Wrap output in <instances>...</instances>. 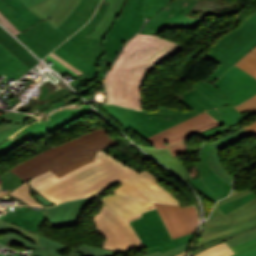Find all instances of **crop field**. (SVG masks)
Wrapping results in <instances>:
<instances>
[{"instance_id": "obj_1", "label": "crop field", "mask_w": 256, "mask_h": 256, "mask_svg": "<svg viewBox=\"0 0 256 256\" xmlns=\"http://www.w3.org/2000/svg\"><path fill=\"white\" fill-rule=\"evenodd\" d=\"M192 88L178 98V103L192 109L186 112L162 106H159V110L153 113L135 111L115 105H100V107L126 130L132 128L143 139L204 111L214 117L223 125L220 126L222 129L216 127L200 133V135L206 138L200 150V163L197 164L200 177L188 182L208 199L217 202L219 199L228 196L232 187L211 171L209 155L214 146L207 142V138L234 126L254 114V112L249 110L241 114L232 108L231 106L234 104L210 82L196 81ZM149 117L151 118L148 119Z\"/></svg>"}, {"instance_id": "obj_2", "label": "crop field", "mask_w": 256, "mask_h": 256, "mask_svg": "<svg viewBox=\"0 0 256 256\" xmlns=\"http://www.w3.org/2000/svg\"><path fill=\"white\" fill-rule=\"evenodd\" d=\"M181 48L156 35L137 34L126 43L102 82L107 103L143 110L141 87L147 73L154 64L174 57Z\"/></svg>"}, {"instance_id": "obj_3", "label": "crop field", "mask_w": 256, "mask_h": 256, "mask_svg": "<svg viewBox=\"0 0 256 256\" xmlns=\"http://www.w3.org/2000/svg\"><path fill=\"white\" fill-rule=\"evenodd\" d=\"M96 162H89L60 178L50 170L31 179L29 186L43 197L58 203L99 195L118 182L122 186L112 192L150 201L127 180L137 174V171L102 151L98 153Z\"/></svg>"}, {"instance_id": "obj_4", "label": "crop field", "mask_w": 256, "mask_h": 256, "mask_svg": "<svg viewBox=\"0 0 256 256\" xmlns=\"http://www.w3.org/2000/svg\"><path fill=\"white\" fill-rule=\"evenodd\" d=\"M5 211L7 214L0 216V232H5L9 229L15 232L0 237V239L24 247L35 248V251L29 253L32 256L116 255V251H110L88 244L77 245L79 249H75L40 236L38 228L47 221L42 212V208L8 206ZM40 245H43V250Z\"/></svg>"}, {"instance_id": "obj_5", "label": "crop field", "mask_w": 256, "mask_h": 256, "mask_svg": "<svg viewBox=\"0 0 256 256\" xmlns=\"http://www.w3.org/2000/svg\"><path fill=\"white\" fill-rule=\"evenodd\" d=\"M115 144L117 143L107 135L105 129L98 130L52 148L11 171L25 181L49 169L59 177L93 161L97 151Z\"/></svg>"}, {"instance_id": "obj_6", "label": "crop field", "mask_w": 256, "mask_h": 256, "mask_svg": "<svg viewBox=\"0 0 256 256\" xmlns=\"http://www.w3.org/2000/svg\"><path fill=\"white\" fill-rule=\"evenodd\" d=\"M100 0H81L72 15L56 30L41 21L17 37L41 59L85 24Z\"/></svg>"}, {"instance_id": "obj_7", "label": "crop field", "mask_w": 256, "mask_h": 256, "mask_svg": "<svg viewBox=\"0 0 256 256\" xmlns=\"http://www.w3.org/2000/svg\"><path fill=\"white\" fill-rule=\"evenodd\" d=\"M255 46L256 13L231 33L223 36L211 47L212 50L204 56L206 59L221 64L208 80L221 76Z\"/></svg>"}, {"instance_id": "obj_8", "label": "crop field", "mask_w": 256, "mask_h": 256, "mask_svg": "<svg viewBox=\"0 0 256 256\" xmlns=\"http://www.w3.org/2000/svg\"><path fill=\"white\" fill-rule=\"evenodd\" d=\"M140 215L125 220L103 205L101 212L94 218L97 233L105 239L103 248L130 250L144 247L128 223Z\"/></svg>"}, {"instance_id": "obj_9", "label": "crop field", "mask_w": 256, "mask_h": 256, "mask_svg": "<svg viewBox=\"0 0 256 256\" xmlns=\"http://www.w3.org/2000/svg\"><path fill=\"white\" fill-rule=\"evenodd\" d=\"M143 242L147 254L157 250L161 253L190 242L194 233L172 240L157 210L143 213L142 217L130 222Z\"/></svg>"}, {"instance_id": "obj_10", "label": "crop field", "mask_w": 256, "mask_h": 256, "mask_svg": "<svg viewBox=\"0 0 256 256\" xmlns=\"http://www.w3.org/2000/svg\"><path fill=\"white\" fill-rule=\"evenodd\" d=\"M145 0H127L120 18L110 30L104 42L107 57L115 58L122 44L143 26Z\"/></svg>"}, {"instance_id": "obj_11", "label": "crop field", "mask_w": 256, "mask_h": 256, "mask_svg": "<svg viewBox=\"0 0 256 256\" xmlns=\"http://www.w3.org/2000/svg\"><path fill=\"white\" fill-rule=\"evenodd\" d=\"M253 227H256V206L236 219L205 222L193 255Z\"/></svg>"}, {"instance_id": "obj_12", "label": "crop field", "mask_w": 256, "mask_h": 256, "mask_svg": "<svg viewBox=\"0 0 256 256\" xmlns=\"http://www.w3.org/2000/svg\"><path fill=\"white\" fill-rule=\"evenodd\" d=\"M198 0H174L150 21L146 22L139 33L158 34L166 27L186 28L195 30L204 18L191 19L186 14L192 9ZM173 14V15H172Z\"/></svg>"}, {"instance_id": "obj_13", "label": "crop field", "mask_w": 256, "mask_h": 256, "mask_svg": "<svg viewBox=\"0 0 256 256\" xmlns=\"http://www.w3.org/2000/svg\"><path fill=\"white\" fill-rule=\"evenodd\" d=\"M107 4V2L103 1L92 19L70 39L60 45L95 68H97V60L104 55L102 50V41L92 39L87 36L103 17Z\"/></svg>"}, {"instance_id": "obj_14", "label": "crop field", "mask_w": 256, "mask_h": 256, "mask_svg": "<svg viewBox=\"0 0 256 256\" xmlns=\"http://www.w3.org/2000/svg\"><path fill=\"white\" fill-rule=\"evenodd\" d=\"M218 125H220V123L205 112L145 140L154 147L166 148L198 132Z\"/></svg>"}, {"instance_id": "obj_15", "label": "crop field", "mask_w": 256, "mask_h": 256, "mask_svg": "<svg viewBox=\"0 0 256 256\" xmlns=\"http://www.w3.org/2000/svg\"><path fill=\"white\" fill-rule=\"evenodd\" d=\"M172 238L196 231L198 216L194 206L181 207L154 203Z\"/></svg>"}, {"instance_id": "obj_16", "label": "crop field", "mask_w": 256, "mask_h": 256, "mask_svg": "<svg viewBox=\"0 0 256 256\" xmlns=\"http://www.w3.org/2000/svg\"><path fill=\"white\" fill-rule=\"evenodd\" d=\"M219 79L214 85L236 105L256 95V79L235 66Z\"/></svg>"}, {"instance_id": "obj_17", "label": "crop field", "mask_w": 256, "mask_h": 256, "mask_svg": "<svg viewBox=\"0 0 256 256\" xmlns=\"http://www.w3.org/2000/svg\"><path fill=\"white\" fill-rule=\"evenodd\" d=\"M77 107L78 108L76 109L68 107L61 110H55L54 112L46 116V120H40L38 122H35L34 124L24 128L19 132L32 140L44 133L57 130L58 128L66 125L67 123L94 111L86 105Z\"/></svg>"}, {"instance_id": "obj_18", "label": "crop field", "mask_w": 256, "mask_h": 256, "mask_svg": "<svg viewBox=\"0 0 256 256\" xmlns=\"http://www.w3.org/2000/svg\"><path fill=\"white\" fill-rule=\"evenodd\" d=\"M96 197L69 201L50 208H44L43 212L52 228L74 226L78 223V217L84 208Z\"/></svg>"}, {"instance_id": "obj_19", "label": "crop field", "mask_w": 256, "mask_h": 256, "mask_svg": "<svg viewBox=\"0 0 256 256\" xmlns=\"http://www.w3.org/2000/svg\"><path fill=\"white\" fill-rule=\"evenodd\" d=\"M80 0H46L29 8L55 29L70 16Z\"/></svg>"}, {"instance_id": "obj_20", "label": "crop field", "mask_w": 256, "mask_h": 256, "mask_svg": "<svg viewBox=\"0 0 256 256\" xmlns=\"http://www.w3.org/2000/svg\"><path fill=\"white\" fill-rule=\"evenodd\" d=\"M129 181L134 184L151 201L169 204H179L171 193L147 170L135 175Z\"/></svg>"}, {"instance_id": "obj_21", "label": "crop field", "mask_w": 256, "mask_h": 256, "mask_svg": "<svg viewBox=\"0 0 256 256\" xmlns=\"http://www.w3.org/2000/svg\"><path fill=\"white\" fill-rule=\"evenodd\" d=\"M101 203L125 219L145 210L154 208L153 204L150 202L136 200L121 195L106 196Z\"/></svg>"}, {"instance_id": "obj_22", "label": "crop field", "mask_w": 256, "mask_h": 256, "mask_svg": "<svg viewBox=\"0 0 256 256\" xmlns=\"http://www.w3.org/2000/svg\"><path fill=\"white\" fill-rule=\"evenodd\" d=\"M249 135H252L245 131L244 129L226 136L222 139H219L211 144H213L215 147L211 152L210 156V164L212 167V170L215 174H217L221 179H223L226 183L232 186V176L228 173V171L224 168L221 159H220V152L219 150L236 143Z\"/></svg>"}, {"instance_id": "obj_23", "label": "crop field", "mask_w": 256, "mask_h": 256, "mask_svg": "<svg viewBox=\"0 0 256 256\" xmlns=\"http://www.w3.org/2000/svg\"><path fill=\"white\" fill-rule=\"evenodd\" d=\"M109 2L107 11L102 18V20L99 22V24L96 26V28L92 31V33L89 35V37H93L96 39L103 40L107 32L112 27L115 20L118 18L123 4L125 0H104Z\"/></svg>"}, {"instance_id": "obj_24", "label": "crop field", "mask_w": 256, "mask_h": 256, "mask_svg": "<svg viewBox=\"0 0 256 256\" xmlns=\"http://www.w3.org/2000/svg\"><path fill=\"white\" fill-rule=\"evenodd\" d=\"M249 73L251 76L256 78V58L253 56L246 54L237 64H235ZM240 112H245L249 109L256 112V96L250 98L249 100L245 101L244 103L240 104L239 106L235 107ZM244 114V113H243ZM247 131L251 132L252 134L256 135V122L243 127Z\"/></svg>"}, {"instance_id": "obj_25", "label": "crop field", "mask_w": 256, "mask_h": 256, "mask_svg": "<svg viewBox=\"0 0 256 256\" xmlns=\"http://www.w3.org/2000/svg\"><path fill=\"white\" fill-rule=\"evenodd\" d=\"M142 149L146 151L149 155H151L153 158L161 161L163 164H165L167 167L172 169L174 172H176L185 180L193 179L190 173L182 164L179 157L173 158L169 149H162V150H155V149H149V148H142Z\"/></svg>"}, {"instance_id": "obj_26", "label": "crop field", "mask_w": 256, "mask_h": 256, "mask_svg": "<svg viewBox=\"0 0 256 256\" xmlns=\"http://www.w3.org/2000/svg\"><path fill=\"white\" fill-rule=\"evenodd\" d=\"M0 43L31 69L37 65L38 61L1 27Z\"/></svg>"}, {"instance_id": "obj_27", "label": "crop field", "mask_w": 256, "mask_h": 256, "mask_svg": "<svg viewBox=\"0 0 256 256\" xmlns=\"http://www.w3.org/2000/svg\"><path fill=\"white\" fill-rule=\"evenodd\" d=\"M250 192L251 191H249L247 189V190H245V191H243V192H241V193H239L237 195H233L231 197H228V198H225L223 200H220L218 202V204L216 205V207H215V209H214V211H213V213H212V215H211V217H210V219L208 221H210V220H217V219L226 218V217H229L230 219H232V218H235V217L245 213L246 211H248L249 209L254 207L256 205V198L248 201L247 203L243 204L242 206L236 208L235 210L231 211L230 213H228L226 215L218 207L219 205H221V204H223V203H225V202H227L229 200L235 199L237 197H240L242 195L248 194Z\"/></svg>"}, {"instance_id": "obj_28", "label": "crop field", "mask_w": 256, "mask_h": 256, "mask_svg": "<svg viewBox=\"0 0 256 256\" xmlns=\"http://www.w3.org/2000/svg\"><path fill=\"white\" fill-rule=\"evenodd\" d=\"M52 53H54L55 55H57L58 57H60L64 60H66L67 62H69L70 64L75 66L77 69H79L84 74L96 79L97 69L91 67L92 65L90 66L85 61L78 58L77 56H75V55L71 54L70 52L64 50L60 46L55 51H53Z\"/></svg>"}, {"instance_id": "obj_29", "label": "crop field", "mask_w": 256, "mask_h": 256, "mask_svg": "<svg viewBox=\"0 0 256 256\" xmlns=\"http://www.w3.org/2000/svg\"><path fill=\"white\" fill-rule=\"evenodd\" d=\"M22 182L24 180L12 172H7L4 176L0 177V198L13 191Z\"/></svg>"}, {"instance_id": "obj_30", "label": "crop field", "mask_w": 256, "mask_h": 256, "mask_svg": "<svg viewBox=\"0 0 256 256\" xmlns=\"http://www.w3.org/2000/svg\"><path fill=\"white\" fill-rule=\"evenodd\" d=\"M6 1L11 8L29 25H33L36 22L40 21L36 15L29 11L20 0H4Z\"/></svg>"}, {"instance_id": "obj_31", "label": "crop field", "mask_w": 256, "mask_h": 256, "mask_svg": "<svg viewBox=\"0 0 256 256\" xmlns=\"http://www.w3.org/2000/svg\"><path fill=\"white\" fill-rule=\"evenodd\" d=\"M0 12L11 21L20 32L29 27L3 0H0Z\"/></svg>"}, {"instance_id": "obj_32", "label": "crop field", "mask_w": 256, "mask_h": 256, "mask_svg": "<svg viewBox=\"0 0 256 256\" xmlns=\"http://www.w3.org/2000/svg\"><path fill=\"white\" fill-rule=\"evenodd\" d=\"M40 88H42V90H41V93H40V96H39L38 101H39V100H43L45 96L47 97V99H45V101H46V100H49V99H51V101L45 102V104H42L41 106H39V104L32 105L33 107H32V109H31V111L20 110V108L18 109L19 111H24V112L33 113V112H34V109H36V108H42V107H44V106H46V105H48V104L54 102L55 100H57V99H59V98H61V97H63V96H66V95L72 93L68 88H66V89H64V90H61V91H59V92H56V93H54V94L48 93V91H47L48 89L45 88L43 85L40 86ZM21 107H22V106H21Z\"/></svg>"}, {"instance_id": "obj_33", "label": "crop field", "mask_w": 256, "mask_h": 256, "mask_svg": "<svg viewBox=\"0 0 256 256\" xmlns=\"http://www.w3.org/2000/svg\"><path fill=\"white\" fill-rule=\"evenodd\" d=\"M30 69L24 65L19 59L8 65L0 71V75H6V79L10 76L18 80L22 75H24Z\"/></svg>"}, {"instance_id": "obj_34", "label": "crop field", "mask_w": 256, "mask_h": 256, "mask_svg": "<svg viewBox=\"0 0 256 256\" xmlns=\"http://www.w3.org/2000/svg\"><path fill=\"white\" fill-rule=\"evenodd\" d=\"M29 181L21 184L17 189H15L10 194L21 198L22 200H24L26 203H28L30 205L43 206L40 202H38L34 197L31 196V194L28 190Z\"/></svg>"}, {"instance_id": "obj_35", "label": "crop field", "mask_w": 256, "mask_h": 256, "mask_svg": "<svg viewBox=\"0 0 256 256\" xmlns=\"http://www.w3.org/2000/svg\"><path fill=\"white\" fill-rule=\"evenodd\" d=\"M230 255H233L232 250L227 246L225 242H223L203 252H200L194 256H230Z\"/></svg>"}, {"instance_id": "obj_36", "label": "crop field", "mask_w": 256, "mask_h": 256, "mask_svg": "<svg viewBox=\"0 0 256 256\" xmlns=\"http://www.w3.org/2000/svg\"><path fill=\"white\" fill-rule=\"evenodd\" d=\"M171 0H146L144 17L153 18L161 8L168 5Z\"/></svg>"}, {"instance_id": "obj_37", "label": "crop field", "mask_w": 256, "mask_h": 256, "mask_svg": "<svg viewBox=\"0 0 256 256\" xmlns=\"http://www.w3.org/2000/svg\"><path fill=\"white\" fill-rule=\"evenodd\" d=\"M254 197H256V195L254 193H250L235 200L229 201L219 207L226 214Z\"/></svg>"}, {"instance_id": "obj_38", "label": "crop field", "mask_w": 256, "mask_h": 256, "mask_svg": "<svg viewBox=\"0 0 256 256\" xmlns=\"http://www.w3.org/2000/svg\"><path fill=\"white\" fill-rule=\"evenodd\" d=\"M27 139L21 133H18L11 137L10 139L6 140L0 145V154H3L22 143L23 140Z\"/></svg>"}, {"instance_id": "obj_39", "label": "crop field", "mask_w": 256, "mask_h": 256, "mask_svg": "<svg viewBox=\"0 0 256 256\" xmlns=\"http://www.w3.org/2000/svg\"><path fill=\"white\" fill-rule=\"evenodd\" d=\"M253 238H256V228H254L250 231L238 234L230 239L225 240V242L229 245V247H231V246L243 243V242L248 241Z\"/></svg>"}, {"instance_id": "obj_40", "label": "crop field", "mask_w": 256, "mask_h": 256, "mask_svg": "<svg viewBox=\"0 0 256 256\" xmlns=\"http://www.w3.org/2000/svg\"><path fill=\"white\" fill-rule=\"evenodd\" d=\"M231 249L234 251L235 255L233 256H237L252 250L256 249V239L250 240L248 242H245L243 244L231 247Z\"/></svg>"}, {"instance_id": "obj_41", "label": "crop field", "mask_w": 256, "mask_h": 256, "mask_svg": "<svg viewBox=\"0 0 256 256\" xmlns=\"http://www.w3.org/2000/svg\"><path fill=\"white\" fill-rule=\"evenodd\" d=\"M216 8L223 9V8H230V7L225 4H218L210 1L204 2L201 0H199L197 4L194 6V9H199L203 11H213Z\"/></svg>"}, {"instance_id": "obj_42", "label": "crop field", "mask_w": 256, "mask_h": 256, "mask_svg": "<svg viewBox=\"0 0 256 256\" xmlns=\"http://www.w3.org/2000/svg\"><path fill=\"white\" fill-rule=\"evenodd\" d=\"M36 121L35 117H32L28 122L22 124V125H18V126H14L6 131H2L0 132V144L5 141L6 139H8L9 137L13 136L14 134L17 133V131L21 130L22 128H24L25 126H27L28 124L32 123Z\"/></svg>"}, {"instance_id": "obj_43", "label": "crop field", "mask_w": 256, "mask_h": 256, "mask_svg": "<svg viewBox=\"0 0 256 256\" xmlns=\"http://www.w3.org/2000/svg\"><path fill=\"white\" fill-rule=\"evenodd\" d=\"M16 59L18 58L0 44V70Z\"/></svg>"}, {"instance_id": "obj_44", "label": "crop field", "mask_w": 256, "mask_h": 256, "mask_svg": "<svg viewBox=\"0 0 256 256\" xmlns=\"http://www.w3.org/2000/svg\"><path fill=\"white\" fill-rule=\"evenodd\" d=\"M10 112V111H9ZM6 122L9 123H17V124H22L26 121H28L32 116H27V115H19L14 112L6 113L4 114Z\"/></svg>"}, {"instance_id": "obj_45", "label": "crop field", "mask_w": 256, "mask_h": 256, "mask_svg": "<svg viewBox=\"0 0 256 256\" xmlns=\"http://www.w3.org/2000/svg\"><path fill=\"white\" fill-rule=\"evenodd\" d=\"M188 244L182 245V246H180L178 248H175L173 250L167 251V252H165L163 254H161L159 251H157V252H155V253H153L151 255H146V256H175V255L185 251L187 249Z\"/></svg>"}, {"instance_id": "obj_46", "label": "crop field", "mask_w": 256, "mask_h": 256, "mask_svg": "<svg viewBox=\"0 0 256 256\" xmlns=\"http://www.w3.org/2000/svg\"><path fill=\"white\" fill-rule=\"evenodd\" d=\"M185 143H186V140L176 146L169 148L173 157L185 154Z\"/></svg>"}, {"instance_id": "obj_47", "label": "crop field", "mask_w": 256, "mask_h": 256, "mask_svg": "<svg viewBox=\"0 0 256 256\" xmlns=\"http://www.w3.org/2000/svg\"><path fill=\"white\" fill-rule=\"evenodd\" d=\"M114 59L103 57L99 63V71L107 72Z\"/></svg>"}, {"instance_id": "obj_48", "label": "crop field", "mask_w": 256, "mask_h": 256, "mask_svg": "<svg viewBox=\"0 0 256 256\" xmlns=\"http://www.w3.org/2000/svg\"><path fill=\"white\" fill-rule=\"evenodd\" d=\"M104 74H105V73L99 72V78H98V80H97V81H94V82H92V83H90L88 87H86L85 89L79 91L80 94H81L82 96L88 94V92H89L92 88H94L95 86H97V84L102 80Z\"/></svg>"}, {"instance_id": "obj_49", "label": "crop field", "mask_w": 256, "mask_h": 256, "mask_svg": "<svg viewBox=\"0 0 256 256\" xmlns=\"http://www.w3.org/2000/svg\"><path fill=\"white\" fill-rule=\"evenodd\" d=\"M0 22L6 26L14 35L20 33L1 13Z\"/></svg>"}, {"instance_id": "obj_50", "label": "crop field", "mask_w": 256, "mask_h": 256, "mask_svg": "<svg viewBox=\"0 0 256 256\" xmlns=\"http://www.w3.org/2000/svg\"><path fill=\"white\" fill-rule=\"evenodd\" d=\"M49 56H51L52 58H54L55 60H57L58 62H60L61 64H63L65 67H67L68 69H70L71 71H73L74 73H76L77 75H81L82 73L80 71H78L75 67H73L72 65H70L69 63L61 60L60 58H58L57 56H55L54 54H50Z\"/></svg>"}, {"instance_id": "obj_51", "label": "crop field", "mask_w": 256, "mask_h": 256, "mask_svg": "<svg viewBox=\"0 0 256 256\" xmlns=\"http://www.w3.org/2000/svg\"><path fill=\"white\" fill-rule=\"evenodd\" d=\"M21 1L24 3V5L27 8H29V7H31V6H33L35 4H38V3H40V2H42L44 0H21Z\"/></svg>"}, {"instance_id": "obj_52", "label": "crop field", "mask_w": 256, "mask_h": 256, "mask_svg": "<svg viewBox=\"0 0 256 256\" xmlns=\"http://www.w3.org/2000/svg\"><path fill=\"white\" fill-rule=\"evenodd\" d=\"M47 59H49L50 61L54 62L56 65H58L59 67H61L62 69H64L66 72H68L69 74H71L72 76H74L75 78L78 77L76 74H74L73 72H71L70 70H68L67 68H65L63 65H61L60 63H58L57 61H55L54 59H52L51 57H46Z\"/></svg>"}, {"instance_id": "obj_53", "label": "crop field", "mask_w": 256, "mask_h": 256, "mask_svg": "<svg viewBox=\"0 0 256 256\" xmlns=\"http://www.w3.org/2000/svg\"><path fill=\"white\" fill-rule=\"evenodd\" d=\"M37 200H39L42 204L49 206V205H53L55 203L43 198L41 195H36L34 196Z\"/></svg>"}, {"instance_id": "obj_54", "label": "crop field", "mask_w": 256, "mask_h": 256, "mask_svg": "<svg viewBox=\"0 0 256 256\" xmlns=\"http://www.w3.org/2000/svg\"><path fill=\"white\" fill-rule=\"evenodd\" d=\"M240 256H256V250L252 251V252H249V253H246V254H243V255H240Z\"/></svg>"}, {"instance_id": "obj_55", "label": "crop field", "mask_w": 256, "mask_h": 256, "mask_svg": "<svg viewBox=\"0 0 256 256\" xmlns=\"http://www.w3.org/2000/svg\"><path fill=\"white\" fill-rule=\"evenodd\" d=\"M45 98H46V97H45ZM36 103H38V102L36 101V102H34V103H32V104H36ZM42 103H44V101H40V105H41ZM32 104H30V105H32ZM21 109L30 110L31 107H30V106H29V107H22Z\"/></svg>"}, {"instance_id": "obj_56", "label": "crop field", "mask_w": 256, "mask_h": 256, "mask_svg": "<svg viewBox=\"0 0 256 256\" xmlns=\"http://www.w3.org/2000/svg\"><path fill=\"white\" fill-rule=\"evenodd\" d=\"M249 54H251V55H253L254 57H256V47H255L253 50H251V51L249 52Z\"/></svg>"}, {"instance_id": "obj_57", "label": "crop field", "mask_w": 256, "mask_h": 256, "mask_svg": "<svg viewBox=\"0 0 256 256\" xmlns=\"http://www.w3.org/2000/svg\"><path fill=\"white\" fill-rule=\"evenodd\" d=\"M20 255V253H18V252H16L14 255H12V256H19ZM0 256H3V255H1L0 254Z\"/></svg>"}, {"instance_id": "obj_58", "label": "crop field", "mask_w": 256, "mask_h": 256, "mask_svg": "<svg viewBox=\"0 0 256 256\" xmlns=\"http://www.w3.org/2000/svg\"><path fill=\"white\" fill-rule=\"evenodd\" d=\"M186 252V251H185ZM185 252H183V253H181V254H179V255H177V256H185Z\"/></svg>"}, {"instance_id": "obj_59", "label": "crop field", "mask_w": 256, "mask_h": 256, "mask_svg": "<svg viewBox=\"0 0 256 256\" xmlns=\"http://www.w3.org/2000/svg\"><path fill=\"white\" fill-rule=\"evenodd\" d=\"M237 192H235V191H232V194L231 195H233V194H236Z\"/></svg>"}, {"instance_id": "obj_60", "label": "crop field", "mask_w": 256, "mask_h": 256, "mask_svg": "<svg viewBox=\"0 0 256 256\" xmlns=\"http://www.w3.org/2000/svg\"><path fill=\"white\" fill-rule=\"evenodd\" d=\"M44 119H46V118H43L42 120H44Z\"/></svg>"}]
</instances>
